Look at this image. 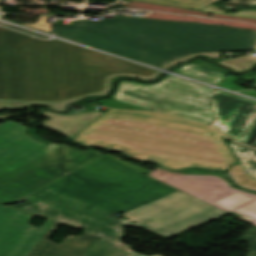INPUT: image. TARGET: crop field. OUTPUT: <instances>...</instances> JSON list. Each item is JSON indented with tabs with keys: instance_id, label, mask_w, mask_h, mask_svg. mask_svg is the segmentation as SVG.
<instances>
[{
	"instance_id": "4177f3b9",
	"label": "crop field",
	"mask_w": 256,
	"mask_h": 256,
	"mask_svg": "<svg viewBox=\"0 0 256 256\" xmlns=\"http://www.w3.org/2000/svg\"><path fill=\"white\" fill-rule=\"evenodd\" d=\"M247 145L256 148V127H255L254 131L252 132V134L247 142Z\"/></svg>"
},
{
	"instance_id": "dd49c442",
	"label": "crop field",
	"mask_w": 256,
	"mask_h": 256,
	"mask_svg": "<svg viewBox=\"0 0 256 256\" xmlns=\"http://www.w3.org/2000/svg\"><path fill=\"white\" fill-rule=\"evenodd\" d=\"M106 156L143 172L226 213L236 211L253 220L256 225V195L232 189L219 172H182L174 174L158 168L149 172L143 168L120 160L112 155Z\"/></svg>"
},
{
	"instance_id": "412701ff",
	"label": "crop field",
	"mask_w": 256,
	"mask_h": 256,
	"mask_svg": "<svg viewBox=\"0 0 256 256\" xmlns=\"http://www.w3.org/2000/svg\"><path fill=\"white\" fill-rule=\"evenodd\" d=\"M56 34L151 65L199 52L251 51L256 31L206 24L117 17L55 26Z\"/></svg>"
},
{
	"instance_id": "8a807250",
	"label": "crop field",
	"mask_w": 256,
	"mask_h": 256,
	"mask_svg": "<svg viewBox=\"0 0 256 256\" xmlns=\"http://www.w3.org/2000/svg\"><path fill=\"white\" fill-rule=\"evenodd\" d=\"M26 129L10 121L0 124V158L29 159L58 179L12 207L118 242L122 225L168 238L226 214L92 150L39 143ZM117 212L130 219L120 221Z\"/></svg>"
},
{
	"instance_id": "5a996713",
	"label": "crop field",
	"mask_w": 256,
	"mask_h": 256,
	"mask_svg": "<svg viewBox=\"0 0 256 256\" xmlns=\"http://www.w3.org/2000/svg\"><path fill=\"white\" fill-rule=\"evenodd\" d=\"M209 97L215 113L212 126L246 144L256 125V102L220 90Z\"/></svg>"
},
{
	"instance_id": "750c4746",
	"label": "crop field",
	"mask_w": 256,
	"mask_h": 256,
	"mask_svg": "<svg viewBox=\"0 0 256 256\" xmlns=\"http://www.w3.org/2000/svg\"><path fill=\"white\" fill-rule=\"evenodd\" d=\"M17 115H9V116H0V118H9V117H15Z\"/></svg>"
},
{
	"instance_id": "730fd06b",
	"label": "crop field",
	"mask_w": 256,
	"mask_h": 256,
	"mask_svg": "<svg viewBox=\"0 0 256 256\" xmlns=\"http://www.w3.org/2000/svg\"><path fill=\"white\" fill-rule=\"evenodd\" d=\"M240 93H244V94H248V95L256 97V91H247V92H240Z\"/></svg>"
},
{
	"instance_id": "5142ce71",
	"label": "crop field",
	"mask_w": 256,
	"mask_h": 256,
	"mask_svg": "<svg viewBox=\"0 0 256 256\" xmlns=\"http://www.w3.org/2000/svg\"><path fill=\"white\" fill-rule=\"evenodd\" d=\"M136 1L164 4V5L196 10L198 8H201L209 0H136Z\"/></svg>"
},
{
	"instance_id": "cbeb9de0",
	"label": "crop field",
	"mask_w": 256,
	"mask_h": 256,
	"mask_svg": "<svg viewBox=\"0 0 256 256\" xmlns=\"http://www.w3.org/2000/svg\"><path fill=\"white\" fill-rule=\"evenodd\" d=\"M243 170L256 181V151L232 142L228 145Z\"/></svg>"
},
{
	"instance_id": "d9b57169",
	"label": "crop field",
	"mask_w": 256,
	"mask_h": 256,
	"mask_svg": "<svg viewBox=\"0 0 256 256\" xmlns=\"http://www.w3.org/2000/svg\"><path fill=\"white\" fill-rule=\"evenodd\" d=\"M228 173L238 185L256 191V182L238 164L232 167Z\"/></svg>"
},
{
	"instance_id": "dafd665d",
	"label": "crop field",
	"mask_w": 256,
	"mask_h": 256,
	"mask_svg": "<svg viewBox=\"0 0 256 256\" xmlns=\"http://www.w3.org/2000/svg\"><path fill=\"white\" fill-rule=\"evenodd\" d=\"M245 5H256V0H230L223 4L224 8H233Z\"/></svg>"
},
{
	"instance_id": "f4fd0767",
	"label": "crop field",
	"mask_w": 256,
	"mask_h": 256,
	"mask_svg": "<svg viewBox=\"0 0 256 256\" xmlns=\"http://www.w3.org/2000/svg\"><path fill=\"white\" fill-rule=\"evenodd\" d=\"M209 87L175 77L156 85L122 81L114 98L157 112L212 124Z\"/></svg>"
},
{
	"instance_id": "d3111659",
	"label": "crop field",
	"mask_w": 256,
	"mask_h": 256,
	"mask_svg": "<svg viewBox=\"0 0 256 256\" xmlns=\"http://www.w3.org/2000/svg\"><path fill=\"white\" fill-rule=\"evenodd\" d=\"M216 91H217V89L211 90V91L209 92V95H214V94L216 93Z\"/></svg>"
},
{
	"instance_id": "3316defc",
	"label": "crop field",
	"mask_w": 256,
	"mask_h": 256,
	"mask_svg": "<svg viewBox=\"0 0 256 256\" xmlns=\"http://www.w3.org/2000/svg\"><path fill=\"white\" fill-rule=\"evenodd\" d=\"M32 162L13 156L0 159V203H11L55 180Z\"/></svg>"
},
{
	"instance_id": "e52e79f7",
	"label": "crop field",
	"mask_w": 256,
	"mask_h": 256,
	"mask_svg": "<svg viewBox=\"0 0 256 256\" xmlns=\"http://www.w3.org/2000/svg\"><path fill=\"white\" fill-rule=\"evenodd\" d=\"M34 215L0 205V256H28L53 221L29 225Z\"/></svg>"
},
{
	"instance_id": "00972430",
	"label": "crop field",
	"mask_w": 256,
	"mask_h": 256,
	"mask_svg": "<svg viewBox=\"0 0 256 256\" xmlns=\"http://www.w3.org/2000/svg\"><path fill=\"white\" fill-rule=\"evenodd\" d=\"M47 17H49V16H40L38 22L36 21L37 23H34V24H23V25L41 28V29H45V30L51 32V23L45 22Z\"/></svg>"
},
{
	"instance_id": "4a817a6b",
	"label": "crop field",
	"mask_w": 256,
	"mask_h": 256,
	"mask_svg": "<svg viewBox=\"0 0 256 256\" xmlns=\"http://www.w3.org/2000/svg\"><path fill=\"white\" fill-rule=\"evenodd\" d=\"M202 12L216 13V14H224V15H232V16H240V17H248L256 19V8L253 9H242L237 13H227L224 10L219 9L214 4L201 10Z\"/></svg>"
},
{
	"instance_id": "ac0d7876",
	"label": "crop field",
	"mask_w": 256,
	"mask_h": 256,
	"mask_svg": "<svg viewBox=\"0 0 256 256\" xmlns=\"http://www.w3.org/2000/svg\"><path fill=\"white\" fill-rule=\"evenodd\" d=\"M116 73L157 72L57 40L0 28V98L58 101L102 92Z\"/></svg>"
},
{
	"instance_id": "92a150f3",
	"label": "crop field",
	"mask_w": 256,
	"mask_h": 256,
	"mask_svg": "<svg viewBox=\"0 0 256 256\" xmlns=\"http://www.w3.org/2000/svg\"><path fill=\"white\" fill-rule=\"evenodd\" d=\"M197 55H205V56H208V58H210L211 60H212L213 58H216V61H218V60H219L220 53H200V54L189 55V56H186V57H184V58L175 60V61H173V62H171V63H169V64H167V65H165V66H163V67H161V68L167 70L170 66H172V65H174V64H176V63H178V62L186 61V60H188L189 58H191V57H193V56H197ZM216 61H214V62H216ZM170 68H171V67H170Z\"/></svg>"
},
{
	"instance_id": "d1516ede",
	"label": "crop field",
	"mask_w": 256,
	"mask_h": 256,
	"mask_svg": "<svg viewBox=\"0 0 256 256\" xmlns=\"http://www.w3.org/2000/svg\"><path fill=\"white\" fill-rule=\"evenodd\" d=\"M160 75H161V73H159V72L154 77H151V78L135 76V75H131V74H117V75H113V76H110V77L107 78V85H106V89H105L104 92L98 93V94H92V95L83 96L81 98L73 99V100H66V101H59V102H37V101L4 100V99H0V110H2V109H17V108H21V107H29L28 105H25V104L26 103H30V104H37V105H41V106H52L56 110L63 111V110H65V106L68 103L75 102L77 100H82L84 97H88V96H100V95L106 94L111 89V80L113 78L117 77V76H133V77H137V78H141V79H145V80H151V79L157 78Z\"/></svg>"
},
{
	"instance_id": "eef30255",
	"label": "crop field",
	"mask_w": 256,
	"mask_h": 256,
	"mask_svg": "<svg viewBox=\"0 0 256 256\" xmlns=\"http://www.w3.org/2000/svg\"><path fill=\"white\" fill-rule=\"evenodd\" d=\"M216 1H218V0H211V1H209L208 3H206V4L203 6V8H205V7H207V6L211 5V4H213V3L216 2ZM203 8H202V9H203ZM199 10H201V9H198V10H196V11H199Z\"/></svg>"
},
{
	"instance_id": "22f410ed",
	"label": "crop field",
	"mask_w": 256,
	"mask_h": 256,
	"mask_svg": "<svg viewBox=\"0 0 256 256\" xmlns=\"http://www.w3.org/2000/svg\"><path fill=\"white\" fill-rule=\"evenodd\" d=\"M176 71L215 85H217L226 75L221 69L201 61H195Z\"/></svg>"
},
{
	"instance_id": "a9b5d70f",
	"label": "crop field",
	"mask_w": 256,
	"mask_h": 256,
	"mask_svg": "<svg viewBox=\"0 0 256 256\" xmlns=\"http://www.w3.org/2000/svg\"><path fill=\"white\" fill-rule=\"evenodd\" d=\"M237 79H238V77L232 76L226 82H224L222 85H220V87L230 89V90H233V91L245 90L244 88H241L239 86H236V85L232 84Z\"/></svg>"
},
{
	"instance_id": "bc2a9ffb",
	"label": "crop field",
	"mask_w": 256,
	"mask_h": 256,
	"mask_svg": "<svg viewBox=\"0 0 256 256\" xmlns=\"http://www.w3.org/2000/svg\"><path fill=\"white\" fill-rule=\"evenodd\" d=\"M240 239L251 245L247 256H256V228L252 227Z\"/></svg>"
},
{
	"instance_id": "d8731c3e",
	"label": "crop field",
	"mask_w": 256,
	"mask_h": 256,
	"mask_svg": "<svg viewBox=\"0 0 256 256\" xmlns=\"http://www.w3.org/2000/svg\"><path fill=\"white\" fill-rule=\"evenodd\" d=\"M59 225L54 223L29 256H145L132 252L129 246L86 232L82 236H67L62 244L48 241Z\"/></svg>"
},
{
	"instance_id": "bd1437ed",
	"label": "crop field",
	"mask_w": 256,
	"mask_h": 256,
	"mask_svg": "<svg viewBox=\"0 0 256 256\" xmlns=\"http://www.w3.org/2000/svg\"><path fill=\"white\" fill-rule=\"evenodd\" d=\"M256 47V46H255Z\"/></svg>"
},
{
	"instance_id": "ae1a2a85",
	"label": "crop field",
	"mask_w": 256,
	"mask_h": 256,
	"mask_svg": "<svg viewBox=\"0 0 256 256\" xmlns=\"http://www.w3.org/2000/svg\"><path fill=\"white\" fill-rule=\"evenodd\" d=\"M229 77H231V75H228L226 78H224L217 86H219L220 84H222L225 80H227Z\"/></svg>"
},
{
	"instance_id": "28ad6ade",
	"label": "crop field",
	"mask_w": 256,
	"mask_h": 256,
	"mask_svg": "<svg viewBox=\"0 0 256 256\" xmlns=\"http://www.w3.org/2000/svg\"><path fill=\"white\" fill-rule=\"evenodd\" d=\"M102 114L104 113L100 111H95L86 114L64 116L61 114L46 111L41 115L46 116L50 119L41 123L40 125L71 139L73 136H75L78 132H80L83 128H85L88 124H90Z\"/></svg>"
},
{
	"instance_id": "733c2abd",
	"label": "crop field",
	"mask_w": 256,
	"mask_h": 256,
	"mask_svg": "<svg viewBox=\"0 0 256 256\" xmlns=\"http://www.w3.org/2000/svg\"><path fill=\"white\" fill-rule=\"evenodd\" d=\"M222 65L228 66L236 72L249 70L256 63V59L252 58L250 54L238 57L235 59L219 62ZM241 68H244L243 70Z\"/></svg>"
},
{
	"instance_id": "34b2d1b8",
	"label": "crop field",
	"mask_w": 256,
	"mask_h": 256,
	"mask_svg": "<svg viewBox=\"0 0 256 256\" xmlns=\"http://www.w3.org/2000/svg\"><path fill=\"white\" fill-rule=\"evenodd\" d=\"M72 140L123 152L170 170H226L235 161L221 134L204 124L147 111L110 109Z\"/></svg>"
},
{
	"instance_id": "214f88e0",
	"label": "crop field",
	"mask_w": 256,
	"mask_h": 256,
	"mask_svg": "<svg viewBox=\"0 0 256 256\" xmlns=\"http://www.w3.org/2000/svg\"><path fill=\"white\" fill-rule=\"evenodd\" d=\"M98 104L103 105V106L114 107V108H122V109L148 110V109H144V108L130 105L127 103H123L120 101H116V100H110V101L102 100V101L98 102Z\"/></svg>"
}]
</instances>
